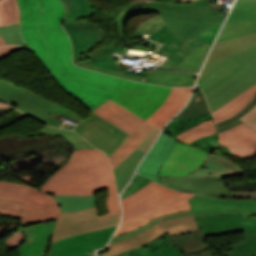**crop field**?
Masks as SVG:
<instances>
[{
    "instance_id": "21",
    "label": "crop field",
    "mask_w": 256,
    "mask_h": 256,
    "mask_svg": "<svg viewBox=\"0 0 256 256\" xmlns=\"http://www.w3.org/2000/svg\"><path fill=\"white\" fill-rule=\"evenodd\" d=\"M175 140L162 133L155 145L140 164L137 172L159 182L158 171L164 160L172 152Z\"/></svg>"
},
{
    "instance_id": "38",
    "label": "crop field",
    "mask_w": 256,
    "mask_h": 256,
    "mask_svg": "<svg viewBox=\"0 0 256 256\" xmlns=\"http://www.w3.org/2000/svg\"><path fill=\"white\" fill-rule=\"evenodd\" d=\"M39 132L63 135L71 142V144L76 149L77 148H94L87 141H85L83 138H81L79 135H77L76 133L71 132L69 130H61V129L50 128L48 126H45Z\"/></svg>"
},
{
    "instance_id": "52",
    "label": "crop field",
    "mask_w": 256,
    "mask_h": 256,
    "mask_svg": "<svg viewBox=\"0 0 256 256\" xmlns=\"http://www.w3.org/2000/svg\"><path fill=\"white\" fill-rule=\"evenodd\" d=\"M4 44L6 43L3 41L2 37L0 36V45H4Z\"/></svg>"
},
{
    "instance_id": "24",
    "label": "crop field",
    "mask_w": 256,
    "mask_h": 256,
    "mask_svg": "<svg viewBox=\"0 0 256 256\" xmlns=\"http://www.w3.org/2000/svg\"><path fill=\"white\" fill-rule=\"evenodd\" d=\"M171 240L186 256H213L204 244L201 231L186 235L170 236Z\"/></svg>"
},
{
    "instance_id": "14",
    "label": "crop field",
    "mask_w": 256,
    "mask_h": 256,
    "mask_svg": "<svg viewBox=\"0 0 256 256\" xmlns=\"http://www.w3.org/2000/svg\"><path fill=\"white\" fill-rule=\"evenodd\" d=\"M205 151L189 147L180 143L175 144L173 152L160 168L162 176H185L203 165L206 157Z\"/></svg>"
},
{
    "instance_id": "50",
    "label": "crop field",
    "mask_w": 256,
    "mask_h": 256,
    "mask_svg": "<svg viewBox=\"0 0 256 256\" xmlns=\"http://www.w3.org/2000/svg\"><path fill=\"white\" fill-rule=\"evenodd\" d=\"M19 48H22V47H19V46H12V45H9V46H0V58H2L3 56L1 54L3 53H12L13 51L19 49Z\"/></svg>"
},
{
    "instance_id": "11",
    "label": "crop field",
    "mask_w": 256,
    "mask_h": 256,
    "mask_svg": "<svg viewBox=\"0 0 256 256\" xmlns=\"http://www.w3.org/2000/svg\"><path fill=\"white\" fill-rule=\"evenodd\" d=\"M120 216L121 211L98 217L96 207L62 212L56 221L51 244L67 236L118 225Z\"/></svg>"
},
{
    "instance_id": "17",
    "label": "crop field",
    "mask_w": 256,
    "mask_h": 256,
    "mask_svg": "<svg viewBox=\"0 0 256 256\" xmlns=\"http://www.w3.org/2000/svg\"><path fill=\"white\" fill-rule=\"evenodd\" d=\"M162 184L176 190L231 198L223 181L196 177H163Z\"/></svg>"
},
{
    "instance_id": "28",
    "label": "crop field",
    "mask_w": 256,
    "mask_h": 256,
    "mask_svg": "<svg viewBox=\"0 0 256 256\" xmlns=\"http://www.w3.org/2000/svg\"><path fill=\"white\" fill-rule=\"evenodd\" d=\"M145 152L135 149L115 170V177L118 186V192L123 189L132 176L137 164L144 156Z\"/></svg>"
},
{
    "instance_id": "16",
    "label": "crop field",
    "mask_w": 256,
    "mask_h": 256,
    "mask_svg": "<svg viewBox=\"0 0 256 256\" xmlns=\"http://www.w3.org/2000/svg\"><path fill=\"white\" fill-rule=\"evenodd\" d=\"M223 153L248 158L256 155V132L244 123L219 134Z\"/></svg>"
},
{
    "instance_id": "40",
    "label": "crop field",
    "mask_w": 256,
    "mask_h": 256,
    "mask_svg": "<svg viewBox=\"0 0 256 256\" xmlns=\"http://www.w3.org/2000/svg\"><path fill=\"white\" fill-rule=\"evenodd\" d=\"M191 214H192L191 210H188V211H183V212H178V213H174V214H170V215H164V216L157 217V218L151 220L150 222L146 223L145 225L141 226L139 229H137L133 232L126 233L124 235L114 237L112 239L111 243L122 240V239H125V238L130 237V236H133V235H135L139 232H142V231L150 228L151 226H153L155 223H157L160 220L174 218V217H180V216H185V215H191Z\"/></svg>"
},
{
    "instance_id": "5",
    "label": "crop field",
    "mask_w": 256,
    "mask_h": 256,
    "mask_svg": "<svg viewBox=\"0 0 256 256\" xmlns=\"http://www.w3.org/2000/svg\"><path fill=\"white\" fill-rule=\"evenodd\" d=\"M205 235H229L242 232V240L228 246L227 256L256 255V212L195 218Z\"/></svg>"
},
{
    "instance_id": "22",
    "label": "crop field",
    "mask_w": 256,
    "mask_h": 256,
    "mask_svg": "<svg viewBox=\"0 0 256 256\" xmlns=\"http://www.w3.org/2000/svg\"><path fill=\"white\" fill-rule=\"evenodd\" d=\"M193 87L172 88L162 106L147 121L163 129L165 124L183 107Z\"/></svg>"
},
{
    "instance_id": "45",
    "label": "crop field",
    "mask_w": 256,
    "mask_h": 256,
    "mask_svg": "<svg viewBox=\"0 0 256 256\" xmlns=\"http://www.w3.org/2000/svg\"><path fill=\"white\" fill-rule=\"evenodd\" d=\"M189 145L210 152L214 148L219 147L218 135H210L205 138L195 140Z\"/></svg>"
},
{
    "instance_id": "9",
    "label": "crop field",
    "mask_w": 256,
    "mask_h": 256,
    "mask_svg": "<svg viewBox=\"0 0 256 256\" xmlns=\"http://www.w3.org/2000/svg\"><path fill=\"white\" fill-rule=\"evenodd\" d=\"M218 9V5L192 7L159 15L169 28L184 41L224 20L226 14H220Z\"/></svg>"
},
{
    "instance_id": "49",
    "label": "crop field",
    "mask_w": 256,
    "mask_h": 256,
    "mask_svg": "<svg viewBox=\"0 0 256 256\" xmlns=\"http://www.w3.org/2000/svg\"><path fill=\"white\" fill-rule=\"evenodd\" d=\"M232 198H256V191L255 192H235L230 191Z\"/></svg>"
},
{
    "instance_id": "51",
    "label": "crop field",
    "mask_w": 256,
    "mask_h": 256,
    "mask_svg": "<svg viewBox=\"0 0 256 256\" xmlns=\"http://www.w3.org/2000/svg\"><path fill=\"white\" fill-rule=\"evenodd\" d=\"M240 122H242V121L239 119V120H237V121H235V122H233V123H231V124H228V125H226V126H224V127L219 128L218 131L220 132V131H222V130H224V129H227V128H229V127H232V126H234V125H236V124H238V123H240Z\"/></svg>"
},
{
    "instance_id": "19",
    "label": "crop field",
    "mask_w": 256,
    "mask_h": 256,
    "mask_svg": "<svg viewBox=\"0 0 256 256\" xmlns=\"http://www.w3.org/2000/svg\"><path fill=\"white\" fill-rule=\"evenodd\" d=\"M192 196L193 194L185 193L178 198L163 203L126 221H122L114 236L133 231L157 216L190 209L187 200Z\"/></svg>"
},
{
    "instance_id": "25",
    "label": "crop field",
    "mask_w": 256,
    "mask_h": 256,
    "mask_svg": "<svg viewBox=\"0 0 256 256\" xmlns=\"http://www.w3.org/2000/svg\"><path fill=\"white\" fill-rule=\"evenodd\" d=\"M244 64L246 63L234 57L223 66L215 70L213 73L205 77L198 84L205 94Z\"/></svg>"
},
{
    "instance_id": "54",
    "label": "crop field",
    "mask_w": 256,
    "mask_h": 256,
    "mask_svg": "<svg viewBox=\"0 0 256 256\" xmlns=\"http://www.w3.org/2000/svg\"><path fill=\"white\" fill-rule=\"evenodd\" d=\"M7 107H8V106H6V105L0 103V108H7Z\"/></svg>"
},
{
    "instance_id": "6",
    "label": "crop field",
    "mask_w": 256,
    "mask_h": 256,
    "mask_svg": "<svg viewBox=\"0 0 256 256\" xmlns=\"http://www.w3.org/2000/svg\"><path fill=\"white\" fill-rule=\"evenodd\" d=\"M0 101L6 104H16L18 109L30 114L37 120L57 127L62 115L80 122V116L63 108L33 92H30L12 82L0 79ZM62 121V120H61Z\"/></svg>"
},
{
    "instance_id": "32",
    "label": "crop field",
    "mask_w": 256,
    "mask_h": 256,
    "mask_svg": "<svg viewBox=\"0 0 256 256\" xmlns=\"http://www.w3.org/2000/svg\"><path fill=\"white\" fill-rule=\"evenodd\" d=\"M207 119H213L211 116V113L191 116V117H186L181 119L174 118V120L169 125H167L166 129L163 132L177 139L175 137L176 135L196 126L197 124Z\"/></svg>"
},
{
    "instance_id": "4",
    "label": "crop field",
    "mask_w": 256,
    "mask_h": 256,
    "mask_svg": "<svg viewBox=\"0 0 256 256\" xmlns=\"http://www.w3.org/2000/svg\"><path fill=\"white\" fill-rule=\"evenodd\" d=\"M60 212L53 196L23 184L0 181V213L21 219V227L54 220Z\"/></svg>"
},
{
    "instance_id": "33",
    "label": "crop field",
    "mask_w": 256,
    "mask_h": 256,
    "mask_svg": "<svg viewBox=\"0 0 256 256\" xmlns=\"http://www.w3.org/2000/svg\"><path fill=\"white\" fill-rule=\"evenodd\" d=\"M62 211H76L96 206L94 196H54Z\"/></svg>"
},
{
    "instance_id": "36",
    "label": "crop field",
    "mask_w": 256,
    "mask_h": 256,
    "mask_svg": "<svg viewBox=\"0 0 256 256\" xmlns=\"http://www.w3.org/2000/svg\"><path fill=\"white\" fill-rule=\"evenodd\" d=\"M256 19V2H237L227 22Z\"/></svg>"
},
{
    "instance_id": "55",
    "label": "crop field",
    "mask_w": 256,
    "mask_h": 256,
    "mask_svg": "<svg viewBox=\"0 0 256 256\" xmlns=\"http://www.w3.org/2000/svg\"><path fill=\"white\" fill-rule=\"evenodd\" d=\"M238 1H256V0H238Z\"/></svg>"
},
{
    "instance_id": "8",
    "label": "crop field",
    "mask_w": 256,
    "mask_h": 256,
    "mask_svg": "<svg viewBox=\"0 0 256 256\" xmlns=\"http://www.w3.org/2000/svg\"><path fill=\"white\" fill-rule=\"evenodd\" d=\"M169 90V87L128 80L125 86L110 99L146 120L161 106Z\"/></svg>"
},
{
    "instance_id": "34",
    "label": "crop field",
    "mask_w": 256,
    "mask_h": 256,
    "mask_svg": "<svg viewBox=\"0 0 256 256\" xmlns=\"http://www.w3.org/2000/svg\"><path fill=\"white\" fill-rule=\"evenodd\" d=\"M210 134H217L213 120L205 121L196 127L178 135L177 138L184 142L190 143L197 138H201Z\"/></svg>"
},
{
    "instance_id": "7",
    "label": "crop field",
    "mask_w": 256,
    "mask_h": 256,
    "mask_svg": "<svg viewBox=\"0 0 256 256\" xmlns=\"http://www.w3.org/2000/svg\"><path fill=\"white\" fill-rule=\"evenodd\" d=\"M92 112L111 122L131 136L109 159L115 169L144 139L154 126L111 100L105 101Z\"/></svg>"
},
{
    "instance_id": "3",
    "label": "crop field",
    "mask_w": 256,
    "mask_h": 256,
    "mask_svg": "<svg viewBox=\"0 0 256 256\" xmlns=\"http://www.w3.org/2000/svg\"><path fill=\"white\" fill-rule=\"evenodd\" d=\"M55 221L22 227L26 240L17 247L18 256H92L86 251L103 247L116 228L64 238L49 247Z\"/></svg>"
},
{
    "instance_id": "44",
    "label": "crop field",
    "mask_w": 256,
    "mask_h": 256,
    "mask_svg": "<svg viewBox=\"0 0 256 256\" xmlns=\"http://www.w3.org/2000/svg\"><path fill=\"white\" fill-rule=\"evenodd\" d=\"M145 256H184L181 250L177 249L174 243L168 239L162 246Z\"/></svg>"
},
{
    "instance_id": "20",
    "label": "crop field",
    "mask_w": 256,
    "mask_h": 256,
    "mask_svg": "<svg viewBox=\"0 0 256 256\" xmlns=\"http://www.w3.org/2000/svg\"><path fill=\"white\" fill-rule=\"evenodd\" d=\"M215 153H207L206 162L193 173L187 176H197L210 179L222 180V178L244 175L246 171L233 164L232 161L223 156L219 148L213 150Z\"/></svg>"
},
{
    "instance_id": "1",
    "label": "crop field",
    "mask_w": 256,
    "mask_h": 256,
    "mask_svg": "<svg viewBox=\"0 0 256 256\" xmlns=\"http://www.w3.org/2000/svg\"><path fill=\"white\" fill-rule=\"evenodd\" d=\"M21 35L54 79L90 112L125 84L120 79L78 68L71 63V42L61 25L65 7L60 0H18ZM63 88V89H64Z\"/></svg>"
},
{
    "instance_id": "46",
    "label": "crop field",
    "mask_w": 256,
    "mask_h": 256,
    "mask_svg": "<svg viewBox=\"0 0 256 256\" xmlns=\"http://www.w3.org/2000/svg\"><path fill=\"white\" fill-rule=\"evenodd\" d=\"M256 104V95L251 99L249 100L246 105L240 109L234 116L226 119V120H223V121H220V122H217V127H221L223 125H226L228 123H231L237 119H239L243 114H245L249 109H251L254 105Z\"/></svg>"
},
{
    "instance_id": "37",
    "label": "crop field",
    "mask_w": 256,
    "mask_h": 256,
    "mask_svg": "<svg viewBox=\"0 0 256 256\" xmlns=\"http://www.w3.org/2000/svg\"><path fill=\"white\" fill-rule=\"evenodd\" d=\"M208 112L210 111L202 94V91H200L193 94L190 103L176 117L180 118Z\"/></svg>"
},
{
    "instance_id": "30",
    "label": "crop field",
    "mask_w": 256,
    "mask_h": 256,
    "mask_svg": "<svg viewBox=\"0 0 256 256\" xmlns=\"http://www.w3.org/2000/svg\"><path fill=\"white\" fill-rule=\"evenodd\" d=\"M196 221L194 219V216L191 215V216H185V217H180V218H174V219H169V220H163V221H160L158 222L157 224H155L153 227H151L150 229L140 233V234H137L133 237H130V238H127L125 240H122V241H119V242H116V243H113L111 245L108 246V249H111V248H115V247H118V246H122V245H125V244H128V243H131L161 227H165V228H172V227H182V226H186V225H191V224H195Z\"/></svg>"
},
{
    "instance_id": "43",
    "label": "crop field",
    "mask_w": 256,
    "mask_h": 256,
    "mask_svg": "<svg viewBox=\"0 0 256 256\" xmlns=\"http://www.w3.org/2000/svg\"><path fill=\"white\" fill-rule=\"evenodd\" d=\"M80 32L82 33L84 39H85V48H84V54L87 53V51L92 48L94 44L97 43V38L93 30L91 29L89 23L87 22H76ZM83 54V55H84Z\"/></svg>"
},
{
    "instance_id": "31",
    "label": "crop field",
    "mask_w": 256,
    "mask_h": 256,
    "mask_svg": "<svg viewBox=\"0 0 256 256\" xmlns=\"http://www.w3.org/2000/svg\"><path fill=\"white\" fill-rule=\"evenodd\" d=\"M252 33H256V20L226 23L217 42Z\"/></svg>"
},
{
    "instance_id": "39",
    "label": "crop field",
    "mask_w": 256,
    "mask_h": 256,
    "mask_svg": "<svg viewBox=\"0 0 256 256\" xmlns=\"http://www.w3.org/2000/svg\"><path fill=\"white\" fill-rule=\"evenodd\" d=\"M169 238L168 232L157 238L156 240L144 244L136 249L123 253L120 256H143L151 251H154L157 247L163 244Z\"/></svg>"
},
{
    "instance_id": "10",
    "label": "crop field",
    "mask_w": 256,
    "mask_h": 256,
    "mask_svg": "<svg viewBox=\"0 0 256 256\" xmlns=\"http://www.w3.org/2000/svg\"><path fill=\"white\" fill-rule=\"evenodd\" d=\"M237 57L247 64L205 94L211 111L256 84V48Z\"/></svg>"
},
{
    "instance_id": "41",
    "label": "crop field",
    "mask_w": 256,
    "mask_h": 256,
    "mask_svg": "<svg viewBox=\"0 0 256 256\" xmlns=\"http://www.w3.org/2000/svg\"><path fill=\"white\" fill-rule=\"evenodd\" d=\"M19 24L0 27V35L4 38L7 44H18L25 46L19 31Z\"/></svg>"
},
{
    "instance_id": "27",
    "label": "crop field",
    "mask_w": 256,
    "mask_h": 256,
    "mask_svg": "<svg viewBox=\"0 0 256 256\" xmlns=\"http://www.w3.org/2000/svg\"><path fill=\"white\" fill-rule=\"evenodd\" d=\"M199 230V227L197 226V224L195 225H191V226H186V227H182V228H173V229H165L164 227L149 234L148 236L125 246L119 247V248H115L112 250H109L108 252H106L105 254H103L102 256H115V255H119L122 254L123 252L136 248L144 243H147L157 237H159L160 235H162L163 233L169 231L170 235H180V234H186L192 231H196Z\"/></svg>"
},
{
    "instance_id": "15",
    "label": "crop field",
    "mask_w": 256,
    "mask_h": 256,
    "mask_svg": "<svg viewBox=\"0 0 256 256\" xmlns=\"http://www.w3.org/2000/svg\"><path fill=\"white\" fill-rule=\"evenodd\" d=\"M188 201L195 217L243 213L256 210V200H224L194 195Z\"/></svg>"
},
{
    "instance_id": "18",
    "label": "crop field",
    "mask_w": 256,
    "mask_h": 256,
    "mask_svg": "<svg viewBox=\"0 0 256 256\" xmlns=\"http://www.w3.org/2000/svg\"><path fill=\"white\" fill-rule=\"evenodd\" d=\"M214 4H215L214 0H199L193 4H183V5H174V4H169V3L160 2V1L138 3L137 6H135V4H125L118 18L115 19L114 21L116 22V26L119 32V37H125L126 21L129 18L136 16L137 14H148V13H154V12L162 13V12H167V11L192 7V6L214 5Z\"/></svg>"
},
{
    "instance_id": "12",
    "label": "crop field",
    "mask_w": 256,
    "mask_h": 256,
    "mask_svg": "<svg viewBox=\"0 0 256 256\" xmlns=\"http://www.w3.org/2000/svg\"><path fill=\"white\" fill-rule=\"evenodd\" d=\"M74 130L108 156L130 136L95 113L78 124Z\"/></svg>"
},
{
    "instance_id": "42",
    "label": "crop field",
    "mask_w": 256,
    "mask_h": 256,
    "mask_svg": "<svg viewBox=\"0 0 256 256\" xmlns=\"http://www.w3.org/2000/svg\"><path fill=\"white\" fill-rule=\"evenodd\" d=\"M254 47H256V44L251 45V46H249L247 48H244V49H242V50H240L238 52H235V53H233L231 55H228L226 57H223L221 59H218L216 61H213L211 63H208V64L204 65L203 70H202L201 75H200V78H199V81L201 79H203L205 76H207L208 74H210L211 72H213L215 69H217L218 67L223 65L225 62L230 60L232 57L237 56V55H239V54H241V53H243V52H245L247 50H250V49H252Z\"/></svg>"
},
{
    "instance_id": "35",
    "label": "crop field",
    "mask_w": 256,
    "mask_h": 256,
    "mask_svg": "<svg viewBox=\"0 0 256 256\" xmlns=\"http://www.w3.org/2000/svg\"><path fill=\"white\" fill-rule=\"evenodd\" d=\"M19 23L17 0H0V26Z\"/></svg>"
},
{
    "instance_id": "2",
    "label": "crop field",
    "mask_w": 256,
    "mask_h": 256,
    "mask_svg": "<svg viewBox=\"0 0 256 256\" xmlns=\"http://www.w3.org/2000/svg\"><path fill=\"white\" fill-rule=\"evenodd\" d=\"M104 188H108V213L120 210L108 159L96 149H82L75 151L68 163L38 190L51 195H95Z\"/></svg>"
},
{
    "instance_id": "26",
    "label": "crop field",
    "mask_w": 256,
    "mask_h": 256,
    "mask_svg": "<svg viewBox=\"0 0 256 256\" xmlns=\"http://www.w3.org/2000/svg\"><path fill=\"white\" fill-rule=\"evenodd\" d=\"M256 43V34L215 44L206 63L231 54L237 50Z\"/></svg>"
},
{
    "instance_id": "48",
    "label": "crop field",
    "mask_w": 256,
    "mask_h": 256,
    "mask_svg": "<svg viewBox=\"0 0 256 256\" xmlns=\"http://www.w3.org/2000/svg\"><path fill=\"white\" fill-rule=\"evenodd\" d=\"M240 119L244 121L254 132L256 131V105Z\"/></svg>"
},
{
    "instance_id": "29",
    "label": "crop field",
    "mask_w": 256,
    "mask_h": 256,
    "mask_svg": "<svg viewBox=\"0 0 256 256\" xmlns=\"http://www.w3.org/2000/svg\"><path fill=\"white\" fill-rule=\"evenodd\" d=\"M256 94V85L241 93L212 113L215 121L226 119L235 114L245 103Z\"/></svg>"
},
{
    "instance_id": "13",
    "label": "crop field",
    "mask_w": 256,
    "mask_h": 256,
    "mask_svg": "<svg viewBox=\"0 0 256 256\" xmlns=\"http://www.w3.org/2000/svg\"><path fill=\"white\" fill-rule=\"evenodd\" d=\"M182 194L162 187L152 181L137 192L121 200L123 204V220Z\"/></svg>"
},
{
    "instance_id": "23",
    "label": "crop field",
    "mask_w": 256,
    "mask_h": 256,
    "mask_svg": "<svg viewBox=\"0 0 256 256\" xmlns=\"http://www.w3.org/2000/svg\"><path fill=\"white\" fill-rule=\"evenodd\" d=\"M67 17L63 22V27L69 34L74 48L73 63L79 62L81 54H83L84 39L75 25L76 18L78 16L77 4L74 0H63Z\"/></svg>"
},
{
    "instance_id": "47",
    "label": "crop field",
    "mask_w": 256,
    "mask_h": 256,
    "mask_svg": "<svg viewBox=\"0 0 256 256\" xmlns=\"http://www.w3.org/2000/svg\"><path fill=\"white\" fill-rule=\"evenodd\" d=\"M160 131L161 129L154 126L137 149L147 152V150L153 144Z\"/></svg>"
},
{
    "instance_id": "53",
    "label": "crop field",
    "mask_w": 256,
    "mask_h": 256,
    "mask_svg": "<svg viewBox=\"0 0 256 256\" xmlns=\"http://www.w3.org/2000/svg\"><path fill=\"white\" fill-rule=\"evenodd\" d=\"M180 2H192V1H195V0H178Z\"/></svg>"
}]
</instances>
